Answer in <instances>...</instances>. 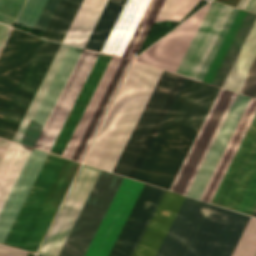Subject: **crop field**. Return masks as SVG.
Returning a JSON list of instances; mask_svg holds the SVG:
<instances>
[{
  "label": "crop field",
  "instance_id": "crop-field-27",
  "mask_svg": "<svg viewBox=\"0 0 256 256\" xmlns=\"http://www.w3.org/2000/svg\"><path fill=\"white\" fill-rule=\"evenodd\" d=\"M0 256H25V252L0 245Z\"/></svg>",
  "mask_w": 256,
  "mask_h": 256
},
{
  "label": "crop field",
  "instance_id": "crop-field-4",
  "mask_svg": "<svg viewBox=\"0 0 256 256\" xmlns=\"http://www.w3.org/2000/svg\"><path fill=\"white\" fill-rule=\"evenodd\" d=\"M100 169L82 164L38 254L58 256ZM123 176L101 171L59 256H83Z\"/></svg>",
  "mask_w": 256,
  "mask_h": 256
},
{
  "label": "crop field",
  "instance_id": "crop-field-31",
  "mask_svg": "<svg viewBox=\"0 0 256 256\" xmlns=\"http://www.w3.org/2000/svg\"><path fill=\"white\" fill-rule=\"evenodd\" d=\"M253 216H256V209H255V211H254V213H253Z\"/></svg>",
  "mask_w": 256,
  "mask_h": 256
},
{
  "label": "crop field",
  "instance_id": "crop-field-18",
  "mask_svg": "<svg viewBox=\"0 0 256 256\" xmlns=\"http://www.w3.org/2000/svg\"><path fill=\"white\" fill-rule=\"evenodd\" d=\"M255 112L256 100L251 98L201 197V200L209 203L211 202Z\"/></svg>",
  "mask_w": 256,
  "mask_h": 256
},
{
  "label": "crop field",
  "instance_id": "crop-field-29",
  "mask_svg": "<svg viewBox=\"0 0 256 256\" xmlns=\"http://www.w3.org/2000/svg\"><path fill=\"white\" fill-rule=\"evenodd\" d=\"M9 144H10V141H7V140H4V139L0 138V162H1L3 156L6 152Z\"/></svg>",
  "mask_w": 256,
  "mask_h": 256
},
{
  "label": "crop field",
  "instance_id": "crop-field-1",
  "mask_svg": "<svg viewBox=\"0 0 256 256\" xmlns=\"http://www.w3.org/2000/svg\"><path fill=\"white\" fill-rule=\"evenodd\" d=\"M184 77L163 71L113 172L134 178ZM219 88L185 78L135 179L169 190ZM236 93L220 89L170 190L187 194Z\"/></svg>",
  "mask_w": 256,
  "mask_h": 256
},
{
  "label": "crop field",
  "instance_id": "crop-field-24",
  "mask_svg": "<svg viewBox=\"0 0 256 256\" xmlns=\"http://www.w3.org/2000/svg\"><path fill=\"white\" fill-rule=\"evenodd\" d=\"M192 0H165L158 15L175 18Z\"/></svg>",
  "mask_w": 256,
  "mask_h": 256
},
{
  "label": "crop field",
  "instance_id": "crop-field-14",
  "mask_svg": "<svg viewBox=\"0 0 256 256\" xmlns=\"http://www.w3.org/2000/svg\"><path fill=\"white\" fill-rule=\"evenodd\" d=\"M99 53L83 50L60 98L58 99L35 148L51 150ZM34 147V146H33Z\"/></svg>",
  "mask_w": 256,
  "mask_h": 256
},
{
  "label": "crop field",
  "instance_id": "crop-field-8",
  "mask_svg": "<svg viewBox=\"0 0 256 256\" xmlns=\"http://www.w3.org/2000/svg\"><path fill=\"white\" fill-rule=\"evenodd\" d=\"M248 219L210 204L184 256H230Z\"/></svg>",
  "mask_w": 256,
  "mask_h": 256
},
{
  "label": "crop field",
  "instance_id": "crop-field-16",
  "mask_svg": "<svg viewBox=\"0 0 256 256\" xmlns=\"http://www.w3.org/2000/svg\"><path fill=\"white\" fill-rule=\"evenodd\" d=\"M46 156L47 153L32 149L0 212V244H3Z\"/></svg>",
  "mask_w": 256,
  "mask_h": 256
},
{
  "label": "crop field",
  "instance_id": "crop-field-12",
  "mask_svg": "<svg viewBox=\"0 0 256 256\" xmlns=\"http://www.w3.org/2000/svg\"><path fill=\"white\" fill-rule=\"evenodd\" d=\"M59 46V43L42 40L24 78L22 79L4 117L0 122L1 137L12 140Z\"/></svg>",
  "mask_w": 256,
  "mask_h": 256
},
{
  "label": "crop field",
  "instance_id": "crop-field-23",
  "mask_svg": "<svg viewBox=\"0 0 256 256\" xmlns=\"http://www.w3.org/2000/svg\"><path fill=\"white\" fill-rule=\"evenodd\" d=\"M26 0H0V21L10 25L15 23Z\"/></svg>",
  "mask_w": 256,
  "mask_h": 256
},
{
  "label": "crop field",
  "instance_id": "crop-field-19",
  "mask_svg": "<svg viewBox=\"0 0 256 256\" xmlns=\"http://www.w3.org/2000/svg\"><path fill=\"white\" fill-rule=\"evenodd\" d=\"M31 148L11 142L0 164V210L10 193Z\"/></svg>",
  "mask_w": 256,
  "mask_h": 256
},
{
  "label": "crop field",
  "instance_id": "crop-field-9",
  "mask_svg": "<svg viewBox=\"0 0 256 256\" xmlns=\"http://www.w3.org/2000/svg\"><path fill=\"white\" fill-rule=\"evenodd\" d=\"M132 61L114 57L90 107L88 108L65 157L82 162L107 111L109 110Z\"/></svg>",
  "mask_w": 256,
  "mask_h": 256
},
{
  "label": "crop field",
  "instance_id": "crop-field-15",
  "mask_svg": "<svg viewBox=\"0 0 256 256\" xmlns=\"http://www.w3.org/2000/svg\"><path fill=\"white\" fill-rule=\"evenodd\" d=\"M207 206L185 197L156 256H183Z\"/></svg>",
  "mask_w": 256,
  "mask_h": 256
},
{
  "label": "crop field",
  "instance_id": "crop-field-17",
  "mask_svg": "<svg viewBox=\"0 0 256 256\" xmlns=\"http://www.w3.org/2000/svg\"><path fill=\"white\" fill-rule=\"evenodd\" d=\"M249 97L237 95L189 193L188 196L200 198L247 102Z\"/></svg>",
  "mask_w": 256,
  "mask_h": 256
},
{
  "label": "crop field",
  "instance_id": "crop-field-22",
  "mask_svg": "<svg viewBox=\"0 0 256 256\" xmlns=\"http://www.w3.org/2000/svg\"><path fill=\"white\" fill-rule=\"evenodd\" d=\"M47 0H27L16 24L33 29Z\"/></svg>",
  "mask_w": 256,
  "mask_h": 256
},
{
  "label": "crop field",
  "instance_id": "crop-field-28",
  "mask_svg": "<svg viewBox=\"0 0 256 256\" xmlns=\"http://www.w3.org/2000/svg\"><path fill=\"white\" fill-rule=\"evenodd\" d=\"M10 31H11V28L0 24V51L10 33Z\"/></svg>",
  "mask_w": 256,
  "mask_h": 256
},
{
  "label": "crop field",
  "instance_id": "crop-field-26",
  "mask_svg": "<svg viewBox=\"0 0 256 256\" xmlns=\"http://www.w3.org/2000/svg\"><path fill=\"white\" fill-rule=\"evenodd\" d=\"M58 0H48L35 27L34 30H38L43 32L56 4H57Z\"/></svg>",
  "mask_w": 256,
  "mask_h": 256
},
{
  "label": "crop field",
  "instance_id": "crop-field-21",
  "mask_svg": "<svg viewBox=\"0 0 256 256\" xmlns=\"http://www.w3.org/2000/svg\"><path fill=\"white\" fill-rule=\"evenodd\" d=\"M256 249V219L250 217L231 256H252Z\"/></svg>",
  "mask_w": 256,
  "mask_h": 256
},
{
  "label": "crop field",
  "instance_id": "crop-field-25",
  "mask_svg": "<svg viewBox=\"0 0 256 256\" xmlns=\"http://www.w3.org/2000/svg\"><path fill=\"white\" fill-rule=\"evenodd\" d=\"M239 93L256 98V59L252 65Z\"/></svg>",
  "mask_w": 256,
  "mask_h": 256
},
{
  "label": "crop field",
  "instance_id": "crop-field-5",
  "mask_svg": "<svg viewBox=\"0 0 256 256\" xmlns=\"http://www.w3.org/2000/svg\"><path fill=\"white\" fill-rule=\"evenodd\" d=\"M148 69L149 66L134 62L84 163L101 165ZM161 73L162 70L150 67L101 168L112 171Z\"/></svg>",
  "mask_w": 256,
  "mask_h": 256
},
{
  "label": "crop field",
  "instance_id": "crop-field-13",
  "mask_svg": "<svg viewBox=\"0 0 256 256\" xmlns=\"http://www.w3.org/2000/svg\"><path fill=\"white\" fill-rule=\"evenodd\" d=\"M41 39L12 29L0 53V120Z\"/></svg>",
  "mask_w": 256,
  "mask_h": 256
},
{
  "label": "crop field",
  "instance_id": "crop-field-3",
  "mask_svg": "<svg viewBox=\"0 0 256 256\" xmlns=\"http://www.w3.org/2000/svg\"><path fill=\"white\" fill-rule=\"evenodd\" d=\"M210 3L141 54L136 60L176 72ZM237 12L238 9L212 1L177 73L203 81Z\"/></svg>",
  "mask_w": 256,
  "mask_h": 256
},
{
  "label": "crop field",
  "instance_id": "crop-field-7",
  "mask_svg": "<svg viewBox=\"0 0 256 256\" xmlns=\"http://www.w3.org/2000/svg\"><path fill=\"white\" fill-rule=\"evenodd\" d=\"M239 12H240V10H239ZM239 12H238V14H239ZM238 14H237V16H238ZM245 14H246V11L241 10L238 18L236 16L237 20L235 18L236 22L234 20L235 24L233 22L234 26L232 24L233 28L231 26L232 30L230 28L231 32L229 30L230 34L228 32L229 36L227 34L228 38L226 36L227 40L225 38L226 42L224 40L225 44L223 42V44H224V46L222 44L223 48H222V46L220 47L212 65H211V67H210V69H209V71H208V73H207V75L204 79V82H205V80H206V78H207V76H208V74H209V72H210V70H211V68H212L220 50H221V48H222L214 66H213V68H212V70H211V72H210V74H209V76L206 80V83L211 84V82H212V80H213V78H214V76H215V74H216V72H217V70H218V68H219V66H220V64H221V62H222L230 44H231V42H232V40H233L237 30H238L243 18H244V16H245ZM255 17H256V14H252V13L247 12V14H246L238 32H237V34H236L228 52H227L221 66H220V68H219V70H218V72H217V74H216V76H215V78L212 82V85L220 87V85H221V83H222V81H223L231 63L233 62V60H234L242 42H243V40L245 39V37H246L254 19H255ZM255 57H256V19H255L247 37H246V39L244 40V42H243L235 60H234V62L232 63V65H231V67H230L222 85H221V88H225V89H229V90L238 92V90H239V88H240V86H241L249 68L251 67Z\"/></svg>",
  "mask_w": 256,
  "mask_h": 256
},
{
  "label": "crop field",
  "instance_id": "crop-field-11",
  "mask_svg": "<svg viewBox=\"0 0 256 256\" xmlns=\"http://www.w3.org/2000/svg\"><path fill=\"white\" fill-rule=\"evenodd\" d=\"M83 0H60L42 37L62 42ZM84 0L63 43L84 48L106 2Z\"/></svg>",
  "mask_w": 256,
  "mask_h": 256
},
{
  "label": "crop field",
  "instance_id": "crop-field-10",
  "mask_svg": "<svg viewBox=\"0 0 256 256\" xmlns=\"http://www.w3.org/2000/svg\"><path fill=\"white\" fill-rule=\"evenodd\" d=\"M162 2L127 0L102 52L134 59Z\"/></svg>",
  "mask_w": 256,
  "mask_h": 256
},
{
  "label": "crop field",
  "instance_id": "crop-field-30",
  "mask_svg": "<svg viewBox=\"0 0 256 256\" xmlns=\"http://www.w3.org/2000/svg\"><path fill=\"white\" fill-rule=\"evenodd\" d=\"M246 10L256 13V0H250L246 7Z\"/></svg>",
  "mask_w": 256,
  "mask_h": 256
},
{
  "label": "crop field",
  "instance_id": "crop-field-20",
  "mask_svg": "<svg viewBox=\"0 0 256 256\" xmlns=\"http://www.w3.org/2000/svg\"><path fill=\"white\" fill-rule=\"evenodd\" d=\"M126 0H109L85 46L100 52L104 46Z\"/></svg>",
  "mask_w": 256,
  "mask_h": 256
},
{
  "label": "crop field",
  "instance_id": "crop-field-6",
  "mask_svg": "<svg viewBox=\"0 0 256 256\" xmlns=\"http://www.w3.org/2000/svg\"><path fill=\"white\" fill-rule=\"evenodd\" d=\"M81 52L61 44L13 141L34 146Z\"/></svg>",
  "mask_w": 256,
  "mask_h": 256
},
{
  "label": "crop field",
  "instance_id": "crop-field-32",
  "mask_svg": "<svg viewBox=\"0 0 256 256\" xmlns=\"http://www.w3.org/2000/svg\"><path fill=\"white\" fill-rule=\"evenodd\" d=\"M37 256H40V255H37Z\"/></svg>",
  "mask_w": 256,
  "mask_h": 256
},
{
  "label": "crop field",
  "instance_id": "crop-field-2",
  "mask_svg": "<svg viewBox=\"0 0 256 256\" xmlns=\"http://www.w3.org/2000/svg\"><path fill=\"white\" fill-rule=\"evenodd\" d=\"M139 182L124 178L84 256H103ZM143 184L140 183L104 256H107ZM164 190L144 184L108 256H132ZM184 196L165 191L133 256H155Z\"/></svg>",
  "mask_w": 256,
  "mask_h": 256
}]
</instances>
